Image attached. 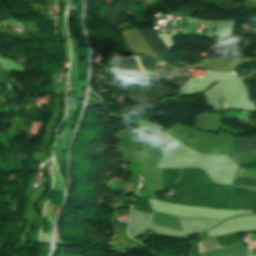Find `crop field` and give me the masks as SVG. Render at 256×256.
Wrapping results in <instances>:
<instances>
[{
	"label": "crop field",
	"instance_id": "obj_1",
	"mask_svg": "<svg viewBox=\"0 0 256 256\" xmlns=\"http://www.w3.org/2000/svg\"><path fill=\"white\" fill-rule=\"evenodd\" d=\"M176 188L189 189L183 196L174 195V199L182 200L181 204L208 206L230 209L255 210L256 201L239 199L246 189L213 184L200 169H184ZM187 190L177 189V192L186 193ZM181 193H176L184 195ZM171 203L179 204V200Z\"/></svg>",
	"mask_w": 256,
	"mask_h": 256
},
{
	"label": "crop field",
	"instance_id": "obj_2",
	"mask_svg": "<svg viewBox=\"0 0 256 256\" xmlns=\"http://www.w3.org/2000/svg\"><path fill=\"white\" fill-rule=\"evenodd\" d=\"M139 82L147 84L149 86L155 87L157 89H160L162 91L168 92L170 94L177 93L179 91V86L174 85L172 83H169L167 81H164L162 79H159L157 77H154L152 75L140 80ZM135 83L128 87L127 92L140 98H146V99H157L160 97L169 96L170 94L162 92L160 90L154 89L152 87H149L147 85L141 84V83Z\"/></svg>",
	"mask_w": 256,
	"mask_h": 256
},
{
	"label": "crop field",
	"instance_id": "obj_3",
	"mask_svg": "<svg viewBox=\"0 0 256 256\" xmlns=\"http://www.w3.org/2000/svg\"><path fill=\"white\" fill-rule=\"evenodd\" d=\"M139 58L143 64L147 74L148 75L151 74L155 68L156 61L151 60L149 58H145V57H139ZM139 58L134 57L143 77H145V76H147V74H146ZM134 59L131 56L124 55L122 63L120 65V68H121L128 83H134L143 78Z\"/></svg>",
	"mask_w": 256,
	"mask_h": 256
},
{
	"label": "crop field",
	"instance_id": "obj_4",
	"mask_svg": "<svg viewBox=\"0 0 256 256\" xmlns=\"http://www.w3.org/2000/svg\"><path fill=\"white\" fill-rule=\"evenodd\" d=\"M151 51L160 60L166 61L171 64L183 66L160 41L152 29H136Z\"/></svg>",
	"mask_w": 256,
	"mask_h": 256
},
{
	"label": "crop field",
	"instance_id": "obj_5",
	"mask_svg": "<svg viewBox=\"0 0 256 256\" xmlns=\"http://www.w3.org/2000/svg\"><path fill=\"white\" fill-rule=\"evenodd\" d=\"M201 256H249L244 245L239 244L202 254Z\"/></svg>",
	"mask_w": 256,
	"mask_h": 256
},
{
	"label": "crop field",
	"instance_id": "obj_6",
	"mask_svg": "<svg viewBox=\"0 0 256 256\" xmlns=\"http://www.w3.org/2000/svg\"><path fill=\"white\" fill-rule=\"evenodd\" d=\"M256 149V136L238 138L235 136L233 152Z\"/></svg>",
	"mask_w": 256,
	"mask_h": 256
},
{
	"label": "crop field",
	"instance_id": "obj_7",
	"mask_svg": "<svg viewBox=\"0 0 256 256\" xmlns=\"http://www.w3.org/2000/svg\"><path fill=\"white\" fill-rule=\"evenodd\" d=\"M181 170L182 169H175V181H174V169H163V175L166 176V177H168L169 171H173V174H172V172H170V176L172 174V185H170L171 184V177H169V179L163 177L164 182L170 183V184H167V183L163 182V190L171 189V187L173 186V181H174V183L176 182Z\"/></svg>",
	"mask_w": 256,
	"mask_h": 256
},
{
	"label": "crop field",
	"instance_id": "obj_8",
	"mask_svg": "<svg viewBox=\"0 0 256 256\" xmlns=\"http://www.w3.org/2000/svg\"><path fill=\"white\" fill-rule=\"evenodd\" d=\"M241 170H240V172H241ZM240 172H239V174H240ZM239 174H238V176H239ZM234 185L256 188V180L237 178Z\"/></svg>",
	"mask_w": 256,
	"mask_h": 256
},
{
	"label": "crop field",
	"instance_id": "obj_9",
	"mask_svg": "<svg viewBox=\"0 0 256 256\" xmlns=\"http://www.w3.org/2000/svg\"><path fill=\"white\" fill-rule=\"evenodd\" d=\"M238 165L241 166V167L256 168V161L239 163Z\"/></svg>",
	"mask_w": 256,
	"mask_h": 256
},
{
	"label": "crop field",
	"instance_id": "obj_10",
	"mask_svg": "<svg viewBox=\"0 0 256 256\" xmlns=\"http://www.w3.org/2000/svg\"><path fill=\"white\" fill-rule=\"evenodd\" d=\"M241 198L256 200V196H254V195H247V194H243Z\"/></svg>",
	"mask_w": 256,
	"mask_h": 256
}]
</instances>
